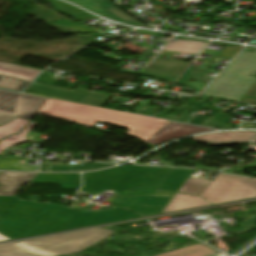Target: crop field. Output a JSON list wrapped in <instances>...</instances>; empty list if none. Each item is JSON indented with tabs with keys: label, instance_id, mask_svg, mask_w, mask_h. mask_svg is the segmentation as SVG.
Segmentation results:
<instances>
[{
	"label": "crop field",
	"instance_id": "1",
	"mask_svg": "<svg viewBox=\"0 0 256 256\" xmlns=\"http://www.w3.org/2000/svg\"><path fill=\"white\" fill-rule=\"evenodd\" d=\"M0 216V232L13 238L141 217L119 208L99 213H86L50 204L24 202L15 197H0Z\"/></svg>",
	"mask_w": 256,
	"mask_h": 256
},
{
	"label": "crop field",
	"instance_id": "2",
	"mask_svg": "<svg viewBox=\"0 0 256 256\" xmlns=\"http://www.w3.org/2000/svg\"><path fill=\"white\" fill-rule=\"evenodd\" d=\"M170 169L125 166L83 173L82 192L96 196L104 190L115 192L111 202L139 214L161 213L174 193L156 190Z\"/></svg>",
	"mask_w": 256,
	"mask_h": 256
},
{
	"label": "crop field",
	"instance_id": "3",
	"mask_svg": "<svg viewBox=\"0 0 256 256\" xmlns=\"http://www.w3.org/2000/svg\"><path fill=\"white\" fill-rule=\"evenodd\" d=\"M37 114L58 118L86 127H92L96 122L125 127L129 130L126 135L142 141H145L169 123L168 121L51 99L47 100Z\"/></svg>",
	"mask_w": 256,
	"mask_h": 256
},
{
	"label": "crop field",
	"instance_id": "4",
	"mask_svg": "<svg viewBox=\"0 0 256 256\" xmlns=\"http://www.w3.org/2000/svg\"><path fill=\"white\" fill-rule=\"evenodd\" d=\"M112 233L102 229H92L54 237L42 238L31 241L10 243L0 246V256H44L31 252L21 243L49 256H60L64 254L80 252L101 238Z\"/></svg>",
	"mask_w": 256,
	"mask_h": 256
},
{
	"label": "crop field",
	"instance_id": "5",
	"mask_svg": "<svg viewBox=\"0 0 256 256\" xmlns=\"http://www.w3.org/2000/svg\"><path fill=\"white\" fill-rule=\"evenodd\" d=\"M254 71L256 49L245 48L202 94L239 101L256 81V77L249 75Z\"/></svg>",
	"mask_w": 256,
	"mask_h": 256
},
{
	"label": "crop field",
	"instance_id": "6",
	"mask_svg": "<svg viewBox=\"0 0 256 256\" xmlns=\"http://www.w3.org/2000/svg\"><path fill=\"white\" fill-rule=\"evenodd\" d=\"M213 204L256 197V180L218 174L199 196Z\"/></svg>",
	"mask_w": 256,
	"mask_h": 256
},
{
	"label": "crop field",
	"instance_id": "7",
	"mask_svg": "<svg viewBox=\"0 0 256 256\" xmlns=\"http://www.w3.org/2000/svg\"><path fill=\"white\" fill-rule=\"evenodd\" d=\"M46 100L0 90V126L16 118L30 121Z\"/></svg>",
	"mask_w": 256,
	"mask_h": 256
},
{
	"label": "crop field",
	"instance_id": "8",
	"mask_svg": "<svg viewBox=\"0 0 256 256\" xmlns=\"http://www.w3.org/2000/svg\"><path fill=\"white\" fill-rule=\"evenodd\" d=\"M158 59L159 61H157ZM166 59H161V57L157 56L154 59L157 64L151 63L153 66L150 64L142 75L173 83L189 63L169 59L166 61ZM145 72L147 74H144Z\"/></svg>",
	"mask_w": 256,
	"mask_h": 256
},
{
	"label": "crop field",
	"instance_id": "9",
	"mask_svg": "<svg viewBox=\"0 0 256 256\" xmlns=\"http://www.w3.org/2000/svg\"><path fill=\"white\" fill-rule=\"evenodd\" d=\"M74 2L94 13L105 16L107 18L124 22L133 26H142L140 23L136 22L126 14L119 11L107 0H68Z\"/></svg>",
	"mask_w": 256,
	"mask_h": 256
},
{
	"label": "crop field",
	"instance_id": "10",
	"mask_svg": "<svg viewBox=\"0 0 256 256\" xmlns=\"http://www.w3.org/2000/svg\"><path fill=\"white\" fill-rule=\"evenodd\" d=\"M211 130L214 129L170 122L161 130H159L156 134H154L152 137L146 140L145 143L158 145L162 142L169 141L175 138Z\"/></svg>",
	"mask_w": 256,
	"mask_h": 256
},
{
	"label": "crop field",
	"instance_id": "11",
	"mask_svg": "<svg viewBox=\"0 0 256 256\" xmlns=\"http://www.w3.org/2000/svg\"><path fill=\"white\" fill-rule=\"evenodd\" d=\"M25 92L78 103L89 90L77 88L75 91H72L60 87L34 83Z\"/></svg>",
	"mask_w": 256,
	"mask_h": 256
},
{
	"label": "crop field",
	"instance_id": "12",
	"mask_svg": "<svg viewBox=\"0 0 256 256\" xmlns=\"http://www.w3.org/2000/svg\"><path fill=\"white\" fill-rule=\"evenodd\" d=\"M28 121L16 119L6 125L0 127V139L9 136L10 134L18 133ZM37 123L31 122L25 129H23L18 135H11L9 138L0 141V153L10 146L20 144L27 141V133L34 128Z\"/></svg>",
	"mask_w": 256,
	"mask_h": 256
},
{
	"label": "crop field",
	"instance_id": "13",
	"mask_svg": "<svg viewBox=\"0 0 256 256\" xmlns=\"http://www.w3.org/2000/svg\"><path fill=\"white\" fill-rule=\"evenodd\" d=\"M256 132L251 131H232V132H222L214 133L208 135H200L193 137L194 141L209 143L213 145L221 144H233V143H244L250 142L255 136Z\"/></svg>",
	"mask_w": 256,
	"mask_h": 256
},
{
	"label": "crop field",
	"instance_id": "14",
	"mask_svg": "<svg viewBox=\"0 0 256 256\" xmlns=\"http://www.w3.org/2000/svg\"><path fill=\"white\" fill-rule=\"evenodd\" d=\"M37 174L0 172V196H14L19 187Z\"/></svg>",
	"mask_w": 256,
	"mask_h": 256
},
{
	"label": "crop field",
	"instance_id": "15",
	"mask_svg": "<svg viewBox=\"0 0 256 256\" xmlns=\"http://www.w3.org/2000/svg\"><path fill=\"white\" fill-rule=\"evenodd\" d=\"M32 183H58L63 188L78 189L80 187L79 174H38Z\"/></svg>",
	"mask_w": 256,
	"mask_h": 256
},
{
	"label": "crop field",
	"instance_id": "16",
	"mask_svg": "<svg viewBox=\"0 0 256 256\" xmlns=\"http://www.w3.org/2000/svg\"><path fill=\"white\" fill-rule=\"evenodd\" d=\"M209 205L212 204L199 197L176 194L161 214Z\"/></svg>",
	"mask_w": 256,
	"mask_h": 256
},
{
	"label": "crop field",
	"instance_id": "17",
	"mask_svg": "<svg viewBox=\"0 0 256 256\" xmlns=\"http://www.w3.org/2000/svg\"><path fill=\"white\" fill-rule=\"evenodd\" d=\"M40 70L31 69L27 67L14 66L7 63L0 62V74L30 81L40 73Z\"/></svg>",
	"mask_w": 256,
	"mask_h": 256
},
{
	"label": "crop field",
	"instance_id": "18",
	"mask_svg": "<svg viewBox=\"0 0 256 256\" xmlns=\"http://www.w3.org/2000/svg\"><path fill=\"white\" fill-rule=\"evenodd\" d=\"M193 170L174 169L169 173L159 189L177 192L188 179Z\"/></svg>",
	"mask_w": 256,
	"mask_h": 256
},
{
	"label": "crop field",
	"instance_id": "19",
	"mask_svg": "<svg viewBox=\"0 0 256 256\" xmlns=\"http://www.w3.org/2000/svg\"><path fill=\"white\" fill-rule=\"evenodd\" d=\"M216 253L214 250L198 243L157 256H208Z\"/></svg>",
	"mask_w": 256,
	"mask_h": 256
},
{
	"label": "crop field",
	"instance_id": "20",
	"mask_svg": "<svg viewBox=\"0 0 256 256\" xmlns=\"http://www.w3.org/2000/svg\"><path fill=\"white\" fill-rule=\"evenodd\" d=\"M54 7V10L60 13H63L65 15H68L72 18H75L79 21L88 19L92 17V15L70 5L65 2L59 1V0H51L48 2Z\"/></svg>",
	"mask_w": 256,
	"mask_h": 256
},
{
	"label": "crop field",
	"instance_id": "21",
	"mask_svg": "<svg viewBox=\"0 0 256 256\" xmlns=\"http://www.w3.org/2000/svg\"><path fill=\"white\" fill-rule=\"evenodd\" d=\"M29 84H30L29 82H25V81L0 75V88H3V89L22 91Z\"/></svg>",
	"mask_w": 256,
	"mask_h": 256
},
{
	"label": "crop field",
	"instance_id": "22",
	"mask_svg": "<svg viewBox=\"0 0 256 256\" xmlns=\"http://www.w3.org/2000/svg\"><path fill=\"white\" fill-rule=\"evenodd\" d=\"M110 96L90 93L87 94L79 103L100 107Z\"/></svg>",
	"mask_w": 256,
	"mask_h": 256
},
{
	"label": "crop field",
	"instance_id": "23",
	"mask_svg": "<svg viewBox=\"0 0 256 256\" xmlns=\"http://www.w3.org/2000/svg\"><path fill=\"white\" fill-rule=\"evenodd\" d=\"M54 24L64 26L67 29L72 30V31L77 32V33H91V32H93V29L87 28L85 26H82V25H79V24H76V23L62 21V20H59V19L56 22H54Z\"/></svg>",
	"mask_w": 256,
	"mask_h": 256
},
{
	"label": "crop field",
	"instance_id": "24",
	"mask_svg": "<svg viewBox=\"0 0 256 256\" xmlns=\"http://www.w3.org/2000/svg\"><path fill=\"white\" fill-rule=\"evenodd\" d=\"M242 47H238V46H227L225 47L221 53L218 55L219 57H223V58H228V59H231L233 56H235L239 50L241 49Z\"/></svg>",
	"mask_w": 256,
	"mask_h": 256
},
{
	"label": "crop field",
	"instance_id": "25",
	"mask_svg": "<svg viewBox=\"0 0 256 256\" xmlns=\"http://www.w3.org/2000/svg\"><path fill=\"white\" fill-rule=\"evenodd\" d=\"M197 70L187 68L186 71L181 75V77L177 80L176 84L185 86L188 81L194 76Z\"/></svg>",
	"mask_w": 256,
	"mask_h": 256
},
{
	"label": "crop field",
	"instance_id": "26",
	"mask_svg": "<svg viewBox=\"0 0 256 256\" xmlns=\"http://www.w3.org/2000/svg\"><path fill=\"white\" fill-rule=\"evenodd\" d=\"M246 97L256 98V82L251 86L248 92L245 94Z\"/></svg>",
	"mask_w": 256,
	"mask_h": 256
},
{
	"label": "crop field",
	"instance_id": "27",
	"mask_svg": "<svg viewBox=\"0 0 256 256\" xmlns=\"http://www.w3.org/2000/svg\"><path fill=\"white\" fill-rule=\"evenodd\" d=\"M241 102H245V103H250V104H255L256 105V100H252V99H248V98H244L242 97Z\"/></svg>",
	"mask_w": 256,
	"mask_h": 256
},
{
	"label": "crop field",
	"instance_id": "28",
	"mask_svg": "<svg viewBox=\"0 0 256 256\" xmlns=\"http://www.w3.org/2000/svg\"><path fill=\"white\" fill-rule=\"evenodd\" d=\"M8 239H10V238H7V237H5V236H3V235L0 234V241L8 240Z\"/></svg>",
	"mask_w": 256,
	"mask_h": 256
},
{
	"label": "crop field",
	"instance_id": "29",
	"mask_svg": "<svg viewBox=\"0 0 256 256\" xmlns=\"http://www.w3.org/2000/svg\"><path fill=\"white\" fill-rule=\"evenodd\" d=\"M23 245V244H22ZM25 246V245H24ZM27 247V246H26ZM29 248V247H28ZM30 249V248H29ZM30 250H32V249H30ZM32 251H34V250H32ZM34 252H36V251H34ZM43 254V253H42ZM45 256H48L47 254H44Z\"/></svg>",
	"mask_w": 256,
	"mask_h": 256
},
{
	"label": "crop field",
	"instance_id": "30",
	"mask_svg": "<svg viewBox=\"0 0 256 256\" xmlns=\"http://www.w3.org/2000/svg\"><path fill=\"white\" fill-rule=\"evenodd\" d=\"M251 75H254V76H256V72H254L253 74H251Z\"/></svg>",
	"mask_w": 256,
	"mask_h": 256
}]
</instances>
